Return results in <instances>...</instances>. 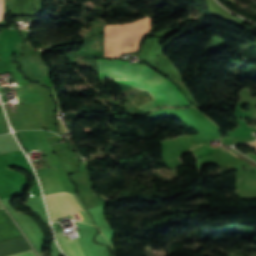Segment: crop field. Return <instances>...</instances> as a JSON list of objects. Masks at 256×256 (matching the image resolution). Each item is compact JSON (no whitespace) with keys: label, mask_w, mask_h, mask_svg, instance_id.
Returning <instances> with one entry per match:
<instances>
[{"label":"crop field","mask_w":256,"mask_h":256,"mask_svg":"<svg viewBox=\"0 0 256 256\" xmlns=\"http://www.w3.org/2000/svg\"><path fill=\"white\" fill-rule=\"evenodd\" d=\"M245 145H249V146H251V147H253V148L256 149V141L251 142V143H247V144H245Z\"/></svg>","instance_id":"crop-field-6"},{"label":"crop field","mask_w":256,"mask_h":256,"mask_svg":"<svg viewBox=\"0 0 256 256\" xmlns=\"http://www.w3.org/2000/svg\"><path fill=\"white\" fill-rule=\"evenodd\" d=\"M57 238L68 256H84L83 251L77 239L69 240L65 236L61 235L60 232L56 233Z\"/></svg>","instance_id":"crop-field-4"},{"label":"crop field","mask_w":256,"mask_h":256,"mask_svg":"<svg viewBox=\"0 0 256 256\" xmlns=\"http://www.w3.org/2000/svg\"><path fill=\"white\" fill-rule=\"evenodd\" d=\"M3 0H0V15H2Z\"/></svg>","instance_id":"crop-field-7"},{"label":"crop field","mask_w":256,"mask_h":256,"mask_svg":"<svg viewBox=\"0 0 256 256\" xmlns=\"http://www.w3.org/2000/svg\"><path fill=\"white\" fill-rule=\"evenodd\" d=\"M5 212V211H4ZM9 218V217H8ZM11 221V220H10ZM15 227V226H14ZM17 230V229H16ZM18 231V230H17ZM19 232V231H18ZM20 234V233H19ZM21 235V234H20Z\"/></svg>","instance_id":"crop-field-8"},{"label":"crop field","mask_w":256,"mask_h":256,"mask_svg":"<svg viewBox=\"0 0 256 256\" xmlns=\"http://www.w3.org/2000/svg\"><path fill=\"white\" fill-rule=\"evenodd\" d=\"M11 256H35V254L33 253L32 250H30V251L22 252V253L11 255Z\"/></svg>","instance_id":"crop-field-5"},{"label":"crop field","mask_w":256,"mask_h":256,"mask_svg":"<svg viewBox=\"0 0 256 256\" xmlns=\"http://www.w3.org/2000/svg\"><path fill=\"white\" fill-rule=\"evenodd\" d=\"M98 78L109 79L146 91L153 100L140 106L151 112L160 108H187L192 105L169 80L145 65H129L121 60H97ZM136 107L144 114L142 107Z\"/></svg>","instance_id":"crop-field-1"},{"label":"crop field","mask_w":256,"mask_h":256,"mask_svg":"<svg viewBox=\"0 0 256 256\" xmlns=\"http://www.w3.org/2000/svg\"><path fill=\"white\" fill-rule=\"evenodd\" d=\"M150 17L121 25H106L104 57L121 58L120 54L138 50L142 38L150 30Z\"/></svg>","instance_id":"crop-field-2"},{"label":"crop field","mask_w":256,"mask_h":256,"mask_svg":"<svg viewBox=\"0 0 256 256\" xmlns=\"http://www.w3.org/2000/svg\"><path fill=\"white\" fill-rule=\"evenodd\" d=\"M45 196L49 205L52 221L82 211V208L70 193L59 192Z\"/></svg>","instance_id":"crop-field-3"}]
</instances>
